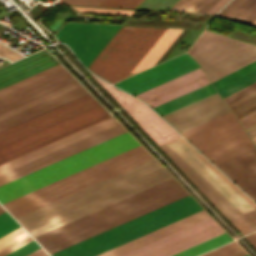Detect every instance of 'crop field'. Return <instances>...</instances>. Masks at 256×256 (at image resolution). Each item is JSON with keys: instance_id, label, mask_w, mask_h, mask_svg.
Segmentation results:
<instances>
[{"instance_id": "obj_33", "label": "crop field", "mask_w": 256, "mask_h": 256, "mask_svg": "<svg viewBox=\"0 0 256 256\" xmlns=\"http://www.w3.org/2000/svg\"><path fill=\"white\" fill-rule=\"evenodd\" d=\"M78 12H92V13H110V14H124L131 15L133 11L128 10H115V9H98V8H81V7H71Z\"/></svg>"}, {"instance_id": "obj_41", "label": "crop field", "mask_w": 256, "mask_h": 256, "mask_svg": "<svg viewBox=\"0 0 256 256\" xmlns=\"http://www.w3.org/2000/svg\"><path fill=\"white\" fill-rule=\"evenodd\" d=\"M247 131H248L249 135L251 136V138L256 136V126Z\"/></svg>"}, {"instance_id": "obj_6", "label": "crop field", "mask_w": 256, "mask_h": 256, "mask_svg": "<svg viewBox=\"0 0 256 256\" xmlns=\"http://www.w3.org/2000/svg\"><path fill=\"white\" fill-rule=\"evenodd\" d=\"M207 217L202 210L97 256H119ZM222 233L224 231L209 217L121 256H171Z\"/></svg>"}, {"instance_id": "obj_21", "label": "crop field", "mask_w": 256, "mask_h": 256, "mask_svg": "<svg viewBox=\"0 0 256 256\" xmlns=\"http://www.w3.org/2000/svg\"><path fill=\"white\" fill-rule=\"evenodd\" d=\"M166 29L157 28L155 32L150 36V38L145 42V44L140 48V50L135 54V56L130 60V62L125 66V68L120 72V74L115 78L113 83L125 78L137 65V63L142 59L146 52L151 48V46L159 39V37L164 33Z\"/></svg>"}, {"instance_id": "obj_27", "label": "crop field", "mask_w": 256, "mask_h": 256, "mask_svg": "<svg viewBox=\"0 0 256 256\" xmlns=\"http://www.w3.org/2000/svg\"><path fill=\"white\" fill-rule=\"evenodd\" d=\"M246 252L236 243L232 242L202 256H242ZM244 256H249L248 254Z\"/></svg>"}, {"instance_id": "obj_19", "label": "crop field", "mask_w": 256, "mask_h": 256, "mask_svg": "<svg viewBox=\"0 0 256 256\" xmlns=\"http://www.w3.org/2000/svg\"><path fill=\"white\" fill-rule=\"evenodd\" d=\"M182 30L167 29L166 32L161 36L157 43L150 49L130 75L148 68L150 65L157 62L169 45L174 39L180 34ZM129 75V76H130Z\"/></svg>"}, {"instance_id": "obj_9", "label": "crop field", "mask_w": 256, "mask_h": 256, "mask_svg": "<svg viewBox=\"0 0 256 256\" xmlns=\"http://www.w3.org/2000/svg\"><path fill=\"white\" fill-rule=\"evenodd\" d=\"M181 134L215 164L254 148L231 111Z\"/></svg>"}, {"instance_id": "obj_8", "label": "crop field", "mask_w": 256, "mask_h": 256, "mask_svg": "<svg viewBox=\"0 0 256 256\" xmlns=\"http://www.w3.org/2000/svg\"><path fill=\"white\" fill-rule=\"evenodd\" d=\"M118 125L111 117L0 166V175ZM125 132L120 125L0 176V185Z\"/></svg>"}, {"instance_id": "obj_44", "label": "crop field", "mask_w": 256, "mask_h": 256, "mask_svg": "<svg viewBox=\"0 0 256 256\" xmlns=\"http://www.w3.org/2000/svg\"><path fill=\"white\" fill-rule=\"evenodd\" d=\"M3 212H5L3 209H2V207L0 206V214L1 213H3Z\"/></svg>"}, {"instance_id": "obj_3", "label": "crop field", "mask_w": 256, "mask_h": 256, "mask_svg": "<svg viewBox=\"0 0 256 256\" xmlns=\"http://www.w3.org/2000/svg\"><path fill=\"white\" fill-rule=\"evenodd\" d=\"M90 75L111 94L152 141L174 132L143 102ZM154 143L228 220L256 209V204L176 132Z\"/></svg>"}, {"instance_id": "obj_16", "label": "crop field", "mask_w": 256, "mask_h": 256, "mask_svg": "<svg viewBox=\"0 0 256 256\" xmlns=\"http://www.w3.org/2000/svg\"><path fill=\"white\" fill-rule=\"evenodd\" d=\"M217 95V93L208 96L202 100H199L195 103H192L186 107H183L179 110H176L170 114H167L165 116H163V118L172 115L178 111H181L185 108H188L194 104H197L201 101H204L210 97H213ZM229 111V108L226 106V104L223 102V100L220 98L219 95L210 98L204 102H201L197 105H194L188 109H185L181 112H178L172 116H169L167 118H165L176 130H178L179 132L188 129L192 126H195L199 123H202L208 119H211L215 116H218L222 113H225Z\"/></svg>"}, {"instance_id": "obj_24", "label": "crop field", "mask_w": 256, "mask_h": 256, "mask_svg": "<svg viewBox=\"0 0 256 256\" xmlns=\"http://www.w3.org/2000/svg\"><path fill=\"white\" fill-rule=\"evenodd\" d=\"M226 38L227 37L204 30V32L201 34L192 48L188 51V53L190 55H194Z\"/></svg>"}, {"instance_id": "obj_36", "label": "crop field", "mask_w": 256, "mask_h": 256, "mask_svg": "<svg viewBox=\"0 0 256 256\" xmlns=\"http://www.w3.org/2000/svg\"><path fill=\"white\" fill-rule=\"evenodd\" d=\"M195 0H179L169 11L184 12Z\"/></svg>"}, {"instance_id": "obj_2", "label": "crop field", "mask_w": 256, "mask_h": 256, "mask_svg": "<svg viewBox=\"0 0 256 256\" xmlns=\"http://www.w3.org/2000/svg\"><path fill=\"white\" fill-rule=\"evenodd\" d=\"M137 145H139V143L125 132L1 185L0 203L3 204ZM151 159H153V157L139 145L7 202L3 204V206L16 218Z\"/></svg>"}, {"instance_id": "obj_45", "label": "crop field", "mask_w": 256, "mask_h": 256, "mask_svg": "<svg viewBox=\"0 0 256 256\" xmlns=\"http://www.w3.org/2000/svg\"><path fill=\"white\" fill-rule=\"evenodd\" d=\"M49 256V255H48Z\"/></svg>"}, {"instance_id": "obj_28", "label": "crop field", "mask_w": 256, "mask_h": 256, "mask_svg": "<svg viewBox=\"0 0 256 256\" xmlns=\"http://www.w3.org/2000/svg\"><path fill=\"white\" fill-rule=\"evenodd\" d=\"M254 69H256V61L212 82V84H213L214 88L216 89V88H218V87H220V86H222V85H224V84H226V83H228V82H230V81H232V80H234V79H236Z\"/></svg>"}, {"instance_id": "obj_29", "label": "crop field", "mask_w": 256, "mask_h": 256, "mask_svg": "<svg viewBox=\"0 0 256 256\" xmlns=\"http://www.w3.org/2000/svg\"><path fill=\"white\" fill-rule=\"evenodd\" d=\"M20 227L6 212L0 215V237Z\"/></svg>"}, {"instance_id": "obj_20", "label": "crop field", "mask_w": 256, "mask_h": 256, "mask_svg": "<svg viewBox=\"0 0 256 256\" xmlns=\"http://www.w3.org/2000/svg\"><path fill=\"white\" fill-rule=\"evenodd\" d=\"M33 240L21 227L0 238V256Z\"/></svg>"}, {"instance_id": "obj_31", "label": "crop field", "mask_w": 256, "mask_h": 256, "mask_svg": "<svg viewBox=\"0 0 256 256\" xmlns=\"http://www.w3.org/2000/svg\"><path fill=\"white\" fill-rule=\"evenodd\" d=\"M254 91H256V82L247 86V87H245V88H243V89H241V90H239V91H237V92H235V93H233V94H231V95H229V96H227V97H225V98H223V99L226 101V103L228 105V104H230V103H232V102H234V101H236V100H238V99H240V98H242V97H244V96H246V95H248V94H250Z\"/></svg>"}, {"instance_id": "obj_38", "label": "crop field", "mask_w": 256, "mask_h": 256, "mask_svg": "<svg viewBox=\"0 0 256 256\" xmlns=\"http://www.w3.org/2000/svg\"><path fill=\"white\" fill-rule=\"evenodd\" d=\"M229 0H218L206 14H216Z\"/></svg>"}, {"instance_id": "obj_43", "label": "crop field", "mask_w": 256, "mask_h": 256, "mask_svg": "<svg viewBox=\"0 0 256 256\" xmlns=\"http://www.w3.org/2000/svg\"><path fill=\"white\" fill-rule=\"evenodd\" d=\"M251 25L256 26V19L251 23Z\"/></svg>"}, {"instance_id": "obj_35", "label": "crop field", "mask_w": 256, "mask_h": 256, "mask_svg": "<svg viewBox=\"0 0 256 256\" xmlns=\"http://www.w3.org/2000/svg\"><path fill=\"white\" fill-rule=\"evenodd\" d=\"M101 0H59L58 4L96 6Z\"/></svg>"}, {"instance_id": "obj_10", "label": "crop field", "mask_w": 256, "mask_h": 256, "mask_svg": "<svg viewBox=\"0 0 256 256\" xmlns=\"http://www.w3.org/2000/svg\"><path fill=\"white\" fill-rule=\"evenodd\" d=\"M195 70V69H194ZM188 73V72H187ZM209 83L201 68L136 95L151 107ZM215 93L211 84L153 107L161 116Z\"/></svg>"}, {"instance_id": "obj_18", "label": "crop field", "mask_w": 256, "mask_h": 256, "mask_svg": "<svg viewBox=\"0 0 256 256\" xmlns=\"http://www.w3.org/2000/svg\"><path fill=\"white\" fill-rule=\"evenodd\" d=\"M218 15L250 24L256 18V0H231Z\"/></svg>"}, {"instance_id": "obj_14", "label": "crop field", "mask_w": 256, "mask_h": 256, "mask_svg": "<svg viewBox=\"0 0 256 256\" xmlns=\"http://www.w3.org/2000/svg\"><path fill=\"white\" fill-rule=\"evenodd\" d=\"M120 26L66 23L55 36L61 42L66 43L87 66Z\"/></svg>"}, {"instance_id": "obj_11", "label": "crop field", "mask_w": 256, "mask_h": 256, "mask_svg": "<svg viewBox=\"0 0 256 256\" xmlns=\"http://www.w3.org/2000/svg\"><path fill=\"white\" fill-rule=\"evenodd\" d=\"M155 29L123 26L89 69L112 82Z\"/></svg>"}, {"instance_id": "obj_42", "label": "crop field", "mask_w": 256, "mask_h": 256, "mask_svg": "<svg viewBox=\"0 0 256 256\" xmlns=\"http://www.w3.org/2000/svg\"><path fill=\"white\" fill-rule=\"evenodd\" d=\"M252 140H253V142H254V144L256 146V137L252 138Z\"/></svg>"}, {"instance_id": "obj_26", "label": "crop field", "mask_w": 256, "mask_h": 256, "mask_svg": "<svg viewBox=\"0 0 256 256\" xmlns=\"http://www.w3.org/2000/svg\"><path fill=\"white\" fill-rule=\"evenodd\" d=\"M256 81V70L217 89L218 93L221 95V97H225L253 82Z\"/></svg>"}, {"instance_id": "obj_37", "label": "crop field", "mask_w": 256, "mask_h": 256, "mask_svg": "<svg viewBox=\"0 0 256 256\" xmlns=\"http://www.w3.org/2000/svg\"><path fill=\"white\" fill-rule=\"evenodd\" d=\"M240 122L244 126L245 129L255 125L256 124V113L240 120Z\"/></svg>"}, {"instance_id": "obj_12", "label": "crop field", "mask_w": 256, "mask_h": 256, "mask_svg": "<svg viewBox=\"0 0 256 256\" xmlns=\"http://www.w3.org/2000/svg\"><path fill=\"white\" fill-rule=\"evenodd\" d=\"M87 94L71 80L0 111V131Z\"/></svg>"}, {"instance_id": "obj_13", "label": "crop field", "mask_w": 256, "mask_h": 256, "mask_svg": "<svg viewBox=\"0 0 256 256\" xmlns=\"http://www.w3.org/2000/svg\"><path fill=\"white\" fill-rule=\"evenodd\" d=\"M192 57L212 82L256 60V46L228 38Z\"/></svg>"}, {"instance_id": "obj_23", "label": "crop field", "mask_w": 256, "mask_h": 256, "mask_svg": "<svg viewBox=\"0 0 256 256\" xmlns=\"http://www.w3.org/2000/svg\"><path fill=\"white\" fill-rule=\"evenodd\" d=\"M230 240H233V239H231L226 233H224L220 236H217L213 239H210L206 242H203V243H201L197 246H194L190 249H187V250H185L183 252H180V253H178L176 255H173V256H196V255H198L202 252H205L209 249H212V248H214L216 246H219L223 243H226Z\"/></svg>"}, {"instance_id": "obj_34", "label": "crop field", "mask_w": 256, "mask_h": 256, "mask_svg": "<svg viewBox=\"0 0 256 256\" xmlns=\"http://www.w3.org/2000/svg\"><path fill=\"white\" fill-rule=\"evenodd\" d=\"M38 248H40L39 245L33 240L6 256H25Z\"/></svg>"}, {"instance_id": "obj_4", "label": "crop field", "mask_w": 256, "mask_h": 256, "mask_svg": "<svg viewBox=\"0 0 256 256\" xmlns=\"http://www.w3.org/2000/svg\"><path fill=\"white\" fill-rule=\"evenodd\" d=\"M169 178L153 159L16 220L35 237Z\"/></svg>"}, {"instance_id": "obj_17", "label": "crop field", "mask_w": 256, "mask_h": 256, "mask_svg": "<svg viewBox=\"0 0 256 256\" xmlns=\"http://www.w3.org/2000/svg\"><path fill=\"white\" fill-rule=\"evenodd\" d=\"M247 194L256 200V149L217 164ZM254 200V201H255Z\"/></svg>"}, {"instance_id": "obj_39", "label": "crop field", "mask_w": 256, "mask_h": 256, "mask_svg": "<svg viewBox=\"0 0 256 256\" xmlns=\"http://www.w3.org/2000/svg\"><path fill=\"white\" fill-rule=\"evenodd\" d=\"M245 238L252 244V246L256 249V232L245 236Z\"/></svg>"}, {"instance_id": "obj_32", "label": "crop field", "mask_w": 256, "mask_h": 256, "mask_svg": "<svg viewBox=\"0 0 256 256\" xmlns=\"http://www.w3.org/2000/svg\"><path fill=\"white\" fill-rule=\"evenodd\" d=\"M217 0H196L185 12L205 13Z\"/></svg>"}, {"instance_id": "obj_5", "label": "crop field", "mask_w": 256, "mask_h": 256, "mask_svg": "<svg viewBox=\"0 0 256 256\" xmlns=\"http://www.w3.org/2000/svg\"><path fill=\"white\" fill-rule=\"evenodd\" d=\"M99 106L85 95L0 132V148ZM111 117L101 106L0 149V165Z\"/></svg>"}, {"instance_id": "obj_15", "label": "crop field", "mask_w": 256, "mask_h": 256, "mask_svg": "<svg viewBox=\"0 0 256 256\" xmlns=\"http://www.w3.org/2000/svg\"><path fill=\"white\" fill-rule=\"evenodd\" d=\"M199 68L195 61L186 53L139 74L129 77L115 85L136 95L187 72Z\"/></svg>"}, {"instance_id": "obj_7", "label": "crop field", "mask_w": 256, "mask_h": 256, "mask_svg": "<svg viewBox=\"0 0 256 256\" xmlns=\"http://www.w3.org/2000/svg\"><path fill=\"white\" fill-rule=\"evenodd\" d=\"M58 64L45 49L0 68V88ZM73 77L56 65L24 80L0 89V110L62 84Z\"/></svg>"}, {"instance_id": "obj_1", "label": "crop field", "mask_w": 256, "mask_h": 256, "mask_svg": "<svg viewBox=\"0 0 256 256\" xmlns=\"http://www.w3.org/2000/svg\"><path fill=\"white\" fill-rule=\"evenodd\" d=\"M186 195L188 193L171 178L35 239L51 254ZM200 210L202 208L188 195L51 256H95Z\"/></svg>"}, {"instance_id": "obj_30", "label": "crop field", "mask_w": 256, "mask_h": 256, "mask_svg": "<svg viewBox=\"0 0 256 256\" xmlns=\"http://www.w3.org/2000/svg\"><path fill=\"white\" fill-rule=\"evenodd\" d=\"M142 0H102L97 6L135 8Z\"/></svg>"}, {"instance_id": "obj_25", "label": "crop field", "mask_w": 256, "mask_h": 256, "mask_svg": "<svg viewBox=\"0 0 256 256\" xmlns=\"http://www.w3.org/2000/svg\"><path fill=\"white\" fill-rule=\"evenodd\" d=\"M234 227L242 234L256 230V210L230 220Z\"/></svg>"}, {"instance_id": "obj_22", "label": "crop field", "mask_w": 256, "mask_h": 256, "mask_svg": "<svg viewBox=\"0 0 256 256\" xmlns=\"http://www.w3.org/2000/svg\"><path fill=\"white\" fill-rule=\"evenodd\" d=\"M228 106L239 120L256 111V92Z\"/></svg>"}, {"instance_id": "obj_40", "label": "crop field", "mask_w": 256, "mask_h": 256, "mask_svg": "<svg viewBox=\"0 0 256 256\" xmlns=\"http://www.w3.org/2000/svg\"><path fill=\"white\" fill-rule=\"evenodd\" d=\"M48 255L46 252H44L41 248L32 252L31 254L27 255V256H46Z\"/></svg>"}]
</instances>
